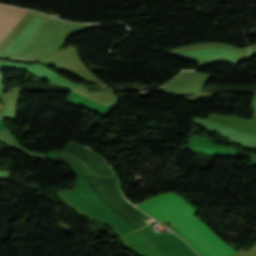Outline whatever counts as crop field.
<instances>
[{
    "mask_svg": "<svg viewBox=\"0 0 256 256\" xmlns=\"http://www.w3.org/2000/svg\"><path fill=\"white\" fill-rule=\"evenodd\" d=\"M138 206L163 221H170L207 256H230L236 252L191 215L195 210L185 200L172 193L156 196Z\"/></svg>",
    "mask_w": 256,
    "mask_h": 256,
    "instance_id": "1",
    "label": "crop field"
},
{
    "mask_svg": "<svg viewBox=\"0 0 256 256\" xmlns=\"http://www.w3.org/2000/svg\"><path fill=\"white\" fill-rule=\"evenodd\" d=\"M27 10L0 5V40L16 24Z\"/></svg>",
    "mask_w": 256,
    "mask_h": 256,
    "instance_id": "2",
    "label": "crop field"
}]
</instances>
